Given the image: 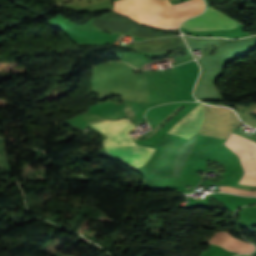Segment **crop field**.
<instances>
[{
  "mask_svg": "<svg viewBox=\"0 0 256 256\" xmlns=\"http://www.w3.org/2000/svg\"><path fill=\"white\" fill-rule=\"evenodd\" d=\"M200 2H202V0H190L176 6H171L167 0H117L113 2L116 9L112 11L118 12L138 8L159 11H177ZM203 8L204 3H201L177 12H157L139 9L119 12V14L151 27L178 30L177 25L181 23L182 20L200 13Z\"/></svg>",
  "mask_w": 256,
  "mask_h": 256,
  "instance_id": "crop-field-1",
  "label": "crop field"
},
{
  "mask_svg": "<svg viewBox=\"0 0 256 256\" xmlns=\"http://www.w3.org/2000/svg\"><path fill=\"white\" fill-rule=\"evenodd\" d=\"M171 71H147V102H173Z\"/></svg>",
  "mask_w": 256,
  "mask_h": 256,
  "instance_id": "crop-field-2",
  "label": "crop field"
},
{
  "mask_svg": "<svg viewBox=\"0 0 256 256\" xmlns=\"http://www.w3.org/2000/svg\"><path fill=\"white\" fill-rule=\"evenodd\" d=\"M181 27L190 31L219 30L235 28L237 23L209 7L205 13L185 21Z\"/></svg>",
  "mask_w": 256,
  "mask_h": 256,
  "instance_id": "crop-field-3",
  "label": "crop field"
},
{
  "mask_svg": "<svg viewBox=\"0 0 256 256\" xmlns=\"http://www.w3.org/2000/svg\"><path fill=\"white\" fill-rule=\"evenodd\" d=\"M237 156L244 169L239 183L256 186V143L248 140Z\"/></svg>",
  "mask_w": 256,
  "mask_h": 256,
  "instance_id": "crop-field-4",
  "label": "crop field"
},
{
  "mask_svg": "<svg viewBox=\"0 0 256 256\" xmlns=\"http://www.w3.org/2000/svg\"><path fill=\"white\" fill-rule=\"evenodd\" d=\"M220 191L244 196H256V191H244L237 188L219 186Z\"/></svg>",
  "mask_w": 256,
  "mask_h": 256,
  "instance_id": "crop-field-5",
  "label": "crop field"
}]
</instances>
